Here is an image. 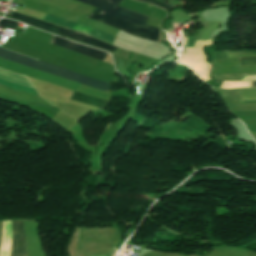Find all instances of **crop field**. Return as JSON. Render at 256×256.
<instances>
[{"label":"crop field","mask_w":256,"mask_h":256,"mask_svg":"<svg viewBox=\"0 0 256 256\" xmlns=\"http://www.w3.org/2000/svg\"><path fill=\"white\" fill-rule=\"evenodd\" d=\"M79 1L98 7L87 18L111 25L135 36L159 42V30L145 25L149 16L116 6L122 0Z\"/></svg>","instance_id":"obj_1"},{"label":"crop field","mask_w":256,"mask_h":256,"mask_svg":"<svg viewBox=\"0 0 256 256\" xmlns=\"http://www.w3.org/2000/svg\"><path fill=\"white\" fill-rule=\"evenodd\" d=\"M0 57L19 63L21 65L31 67L40 71H44L58 77L80 83L83 85H87L93 88L109 91V83L93 80L91 78L85 77L83 75L77 74L75 72L66 70L64 68L40 61V60H33L28 57L4 50L0 48Z\"/></svg>","instance_id":"obj_2"},{"label":"crop field","mask_w":256,"mask_h":256,"mask_svg":"<svg viewBox=\"0 0 256 256\" xmlns=\"http://www.w3.org/2000/svg\"><path fill=\"white\" fill-rule=\"evenodd\" d=\"M9 17L21 20L27 24H30V25H33V26H36V27H39L42 29H46V30L58 33L60 35H64V36H67V37H70V38H73V39H76V40H79V41H82V42H85L88 44H92V45H95V46H98V47H101V48H104V49H107V50H110L113 52H115L117 49V47H114V46L108 45L106 43H103L101 41H98L96 39H93L85 34L74 32L67 28H64V27H61V26H58V25H55V24H52V23H49L46 21H42V20H39V19H36L33 17H29L26 15L17 13L15 11H13Z\"/></svg>","instance_id":"obj_3"},{"label":"crop field","mask_w":256,"mask_h":256,"mask_svg":"<svg viewBox=\"0 0 256 256\" xmlns=\"http://www.w3.org/2000/svg\"><path fill=\"white\" fill-rule=\"evenodd\" d=\"M50 43L60 46L62 48L77 52V53H81V54L96 58L101 61H103L105 57L108 55V53L106 52H103L94 48H90L78 43H74L54 35L52 36Z\"/></svg>","instance_id":"obj_4"},{"label":"crop field","mask_w":256,"mask_h":256,"mask_svg":"<svg viewBox=\"0 0 256 256\" xmlns=\"http://www.w3.org/2000/svg\"><path fill=\"white\" fill-rule=\"evenodd\" d=\"M43 20H46V21H49V22H52V23H55V24H58V25H61V26L67 27V28H71V29H74V30H77V31H80V32H83V33H86V34H89L91 36L97 37L99 39L105 40V41L110 42V43L112 42V40L114 38L113 36H110L108 34L99 32L97 30L88 28L86 26H83V25H80V24H77V23H74V22H71V21H68V20H65V19H61V18H58V17H55V16H51V15H48V14L45 15Z\"/></svg>","instance_id":"obj_5"},{"label":"crop field","mask_w":256,"mask_h":256,"mask_svg":"<svg viewBox=\"0 0 256 256\" xmlns=\"http://www.w3.org/2000/svg\"><path fill=\"white\" fill-rule=\"evenodd\" d=\"M26 246L22 221H13L12 239L9 256H25Z\"/></svg>","instance_id":"obj_6"},{"label":"crop field","mask_w":256,"mask_h":256,"mask_svg":"<svg viewBox=\"0 0 256 256\" xmlns=\"http://www.w3.org/2000/svg\"><path fill=\"white\" fill-rule=\"evenodd\" d=\"M71 99L77 100V101H80L83 103H87V104H90L93 106L102 107V108H105L109 104L108 101L97 99V98H94V97H91V96H88V95H85V94H82V93H79L76 91H74Z\"/></svg>","instance_id":"obj_7"},{"label":"crop field","mask_w":256,"mask_h":256,"mask_svg":"<svg viewBox=\"0 0 256 256\" xmlns=\"http://www.w3.org/2000/svg\"><path fill=\"white\" fill-rule=\"evenodd\" d=\"M0 85L6 86V87H9V88H12V89H16V90H20V91H24V92H28V93H32V94L38 95L37 92H35L33 90H30V89H27V88H23V87L11 84V83L6 82V81L1 80V79H0Z\"/></svg>","instance_id":"obj_8"},{"label":"crop field","mask_w":256,"mask_h":256,"mask_svg":"<svg viewBox=\"0 0 256 256\" xmlns=\"http://www.w3.org/2000/svg\"><path fill=\"white\" fill-rule=\"evenodd\" d=\"M138 1L153 4V5H156L158 7L163 8V9H167V8L171 7V6L167 5L165 3V1H163V0H138Z\"/></svg>","instance_id":"obj_9"},{"label":"crop field","mask_w":256,"mask_h":256,"mask_svg":"<svg viewBox=\"0 0 256 256\" xmlns=\"http://www.w3.org/2000/svg\"><path fill=\"white\" fill-rule=\"evenodd\" d=\"M18 22L12 20L1 19L0 26L14 30Z\"/></svg>","instance_id":"obj_10"},{"label":"crop field","mask_w":256,"mask_h":256,"mask_svg":"<svg viewBox=\"0 0 256 256\" xmlns=\"http://www.w3.org/2000/svg\"><path fill=\"white\" fill-rule=\"evenodd\" d=\"M241 66L256 65V57L254 58H239Z\"/></svg>","instance_id":"obj_11"},{"label":"crop field","mask_w":256,"mask_h":256,"mask_svg":"<svg viewBox=\"0 0 256 256\" xmlns=\"http://www.w3.org/2000/svg\"><path fill=\"white\" fill-rule=\"evenodd\" d=\"M252 87H256V81L252 82Z\"/></svg>","instance_id":"obj_12"}]
</instances>
